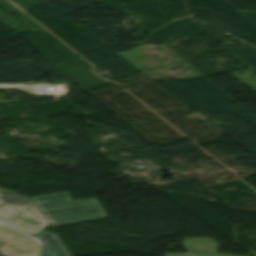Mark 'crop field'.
<instances>
[{"instance_id":"obj_3","label":"crop field","mask_w":256,"mask_h":256,"mask_svg":"<svg viewBox=\"0 0 256 256\" xmlns=\"http://www.w3.org/2000/svg\"><path fill=\"white\" fill-rule=\"evenodd\" d=\"M39 242L0 223V256H38Z\"/></svg>"},{"instance_id":"obj_4","label":"crop field","mask_w":256,"mask_h":256,"mask_svg":"<svg viewBox=\"0 0 256 256\" xmlns=\"http://www.w3.org/2000/svg\"><path fill=\"white\" fill-rule=\"evenodd\" d=\"M182 245L189 253L165 256H229L216 254L218 245L210 238L183 239Z\"/></svg>"},{"instance_id":"obj_5","label":"crop field","mask_w":256,"mask_h":256,"mask_svg":"<svg viewBox=\"0 0 256 256\" xmlns=\"http://www.w3.org/2000/svg\"><path fill=\"white\" fill-rule=\"evenodd\" d=\"M38 238L43 242L41 256H71L56 234L42 232Z\"/></svg>"},{"instance_id":"obj_2","label":"crop field","mask_w":256,"mask_h":256,"mask_svg":"<svg viewBox=\"0 0 256 256\" xmlns=\"http://www.w3.org/2000/svg\"><path fill=\"white\" fill-rule=\"evenodd\" d=\"M0 220L33 237L49 225L32 198L1 188Z\"/></svg>"},{"instance_id":"obj_1","label":"crop field","mask_w":256,"mask_h":256,"mask_svg":"<svg viewBox=\"0 0 256 256\" xmlns=\"http://www.w3.org/2000/svg\"><path fill=\"white\" fill-rule=\"evenodd\" d=\"M70 197L63 192L33 200L48 222L56 226L108 218L96 198L72 202Z\"/></svg>"}]
</instances>
